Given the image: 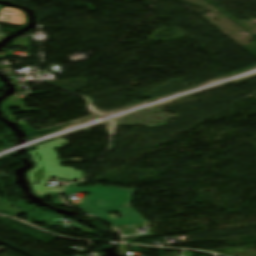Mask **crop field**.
Listing matches in <instances>:
<instances>
[{"label":"crop field","mask_w":256,"mask_h":256,"mask_svg":"<svg viewBox=\"0 0 256 256\" xmlns=\"http://www.w3.org/2000/svg\"><path fill=\"white\" fill-rule=\"evenodd\" d=\"M78 183L66 186L62 193L72 194L77 192H88L91 193L90 196L86 197L84 201L81 202L79 207L81 210L93 215L94 217L108 222L112 226L126 225V224H136L148 222L141 215H139L135 210L130 207L132 200V194L134 189H116L111 187H81L75 188ZM88 201L91 211H89L85 201ZM107 210L93 211V209L101 208H113L121 207ZM108 212H119L122 214V219H115V215H108Z\"/></svg>","instance_id":"crop-field-1"},{"label":"crop field","mask_w":256,"mask_h":256,"mask_svg":"<svg viewBox=\"0 0 256 256\" xmlns=\"http://www.w3.org/2000/svg\"><path fill=\"white\" fill-rule=\"evenodd\" d=\"M53 204H55V205H63V206H65V207H68V206H66L60 199H57L56 201H54V202H52Z\"/></svg>","instance_id":"crop-field-4"},{"label":"crop field","mask_w":256,"mask_h":256,"mask_svg":"<svg viewBox=\"0 0 256 256\" xmlns=\"http://www.w3.org/2000/svg\"><path fill=\"white\" fill-rule=\"evenodd\" d=\"M10 107H17V108H20L21 111L8 113V108H10ZM1 108H2V111H3V114H4V115H12L13 113L26 112V111L39 112V110H37V109L25 108L24 102H23V101H20V100L5 101V102L1 105Z\"/></svg>","instance_id":"crop-field-3"},{"label":"crop field","mask_w":256,"mask_h":256,"mask_svg":"<svg viewBox=\"0 0 256 256\" xmlns=\"http://www.w3.org/2000/svg\"><path fill=\"white\" fill-rule=\"evenodd\" d=\"M66 144H68L66 139H58L34 146L36 150L28 152L32 156V161L36 162L35 168L28 171V174L37 195L59 192V189L45 187L50 176H56V181H59V178L64 179V181L83 179L82 171H75L73 167H61L60 165V163L71 161H59V156L54 148L63 147ZM35 182H38V185H35Z\"/></svg>","instance_id":"crop-field-2"}]
</instances>
